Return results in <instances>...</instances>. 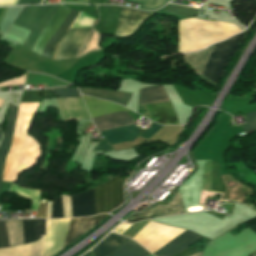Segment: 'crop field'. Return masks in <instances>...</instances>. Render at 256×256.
<instances>
[{
	"label": "crop field",
	"instance_id": "8a807250",
	"mask_svg": "<svg viewBox=\"0 0 256 256\" xmlns=\"http://www.w3.org/2000/svg\"><path fill=\"white\" fill-rule=\"evenodd\" d=\"M37 105L38 103H21L19 106L14 138L2 181L14 183L22 171L34 166L41 157L38 144L26 134L28 122Z\"/></svg>",
	"mask_w": 256,
	"mask_h": 256
},
{
	"label": "crop field",
	"instance_id": "ac0d7876",
	"mask_svg": "<svg viewBox=\"0 0 256 256\" xmlns=\"http://www.w3.org/2000/svg\"><path fill=\"white\" fill-rule=\"evenodd\" d=\"M92 118L120 111H128L127 109L106 101L93 99L82 96ZM99 131L132 125L134 124L130 116L125 112L115 113L93 119ZM139 133V127L134 125L102 131L103 137L112 145L119 142L134 140Z\"/></svg>",
	"mask_w": 256,
	"mask_h": 256
},
{
	"label": "crop field",
	"instance_id": "34b2d1b8",
	"mask_svg": "<svg viewBox=\"0 0 256 256\" xmlns=\"http://www.w3.org/2000/svg\"><path fill=\"white\" fill-rule=\"evenodd\" d=\"M70 11L71 9H68L63 6L60 7V9L56 12V14L52 17V19L48 22V24L45 26V28L41 32L32 51L40 55L42 54L44 46L52 37V35L55 33V31L58 29V27L61 25V23L64 21V19L67 17V15L70 13ZM78 14L79 12L72 10V12L63 22V24L60 26V28L57 30V32L54 34V36L50 39V41L45 46L44 52L42 54L43 56L49 59L51 58V52L53 47L64 36V34L72 25V23L76 20ZM93 19L94 18L81 12L77 20L71 26V28L90 27Z\"/></svg>",
	"mask_w": 256,
	"mask_h": 256
},
{
	"label": "crop field",
	"instance_id": "412701ff",
	"mask_svg": "<svg viewBox=\"0 0 256 256\" xmlns=\"http://www.w3.org/2000/svg\"><path fill=\"white\" fill-rule=\"evenodd\" d=\"M61 5L27 6L14 21V25L31 31L23 46L32 49L38 35Z\"/></svg>",
	"mask_w": 256,
	"mask_h": 256
},
{
	"label": "crop field",
	"instance_id": "f4fd0767",
	"mask_svg": "<svg viewBox=\"0 0 256 256\" xmlns=\"http://www.w3.org/2000/svg\"><path fill=\"white\" fill-rule=\"evenodd\" d=\"M246 33L247 32H244L240 35L229 38L222 43L216 44L200 75L216 84L221 77L232 52Z\"/></svg>",
	"mask_w": 256,
	"mask_h": 256
},
{
	"label": "crop field",
	"instance_id": "dd49c442",
	"mask_svg": "<svg viewBox=\"0 0 256 256\" xmlns=\"http://www.w3.org/2000/svg\"><path fill=\"white\" fill-rule=\"evenodd\" d=\"M183 231L184 229L150 221L133 239L141 243L153 254Z\"/></svg>",
	"mask_w": 256,
	"mask_h": 256
},
{
	"label": "crop field",
	"instance_id": "e52e79f7",
	"mask_svg": "<svg viewBox=\"0 0 256 256\" xmlns=\"http://www.w3.org/2000/svg\"><path fill=\"white\" fill-rule=\"evenodd\" d=\"M158 102H170L163 86L149 87L141 90L140 104ZM149 106L155 121L161 124H177L170 103L151 104Z\"/></svg>",
	"mask_w": 256,
	"mask_h": 256
},
{
	"label": "crop field",
	"instance_id": "d8731c3e",
	"mask_svg": "<svg viewBox=\"0 0 256 256\" xmlns=\"http://www.w3.org/2000/svg\"><path fill=\"white\" fill-rule=\"evenodd\" d=\"M125 178L116 176L108 183L94 188L96 214L109 213L124 202L123 184Z\"/></svg>",
	"mask_w": 256,
	"mask_h": 256
},
{
	"label": "crop field",
	"instance_id": "5a996713",
	"mask_svg": "<svg viewBox=\"0 0 256 256\" xmlns=\"http://www.w3.org/2000/svg\"><path fill=\"white\" fill-rule=\"evenodd\" d=\"M69 220H46L45 256H53L63 249Z\"/></svg>",
	"mask_w": 256,
	"mask_h": 256
},
{
	"label": "crop field",
	"instance_id": "3316defc",
	"mask_svg": "<svg viewBox=\"0 0 256 256\" xmlns=\"http://www.w3.org/2000/svg\"><path fill=\"white\" fill-rule=\"evenodd\" d=\"M90 29L69 30L63 40L57 45L53 60L75 58Z\"/></svg>",
	"mask_w": 256,
	"mask_h": 256
},
{
	"label": "crop field",
	"instance_id": "28ad6ade",
	"mask_svg": "<svg viewBox=\"0 0 256 256\" xmlns=\"http://www.w3.org/2000/svg\"><path fill=\"white\" fill-rule=\"evenodd\" d=\"M201 238H202V236H199L193 232L186 230L153 255H155V256H174V255L182 252L183 250L187 249L194 242L200 240Z\"/></svg>",
	"mask_w": 256,
	"mask_h": 256
},
{
	"label": "crop field",
	"instance_id": "d1516ede",
	"mask_svg": "<svg viewBox=\"0 0 256 256\" xmlns=\"http://www.w3.org/2000/svg\"><path fill=\"white\" fill-rule=\"evenodd\" d=\"M149 13L121 7L115 35H129Z\"/></svg>",
	"mask_w": 256,
	"mask_h": 256
},
{
	"label": "crop field",
	"instance_id": "22f410ed",
	"mask_svg": "<svg viewBox=\"0 0 256 256\" xmlns=\"http://www.w3.org/2000/svg\"><path fill=\"white\" fill-rule=\"evenodd\" d=\"M70 200L72 217L95 215L94 190L71 195Z\"/></svg>",
	"mask_w": 256,
	"mask_h": 256
},
{
	"label": "crop field",
	"instance_id": "cbeb9de0",
	"mask_svg": "<svg viewBox=\"0 0 256 256\" xmlns=\"http://www.w3.org/2000/svg\"><path fill=\"white\" fill-rule=\"evenodd\" d=\"M107 216L108 215H99L91 218L71 219L64 247L88 232Z\"/></svg>",
	"mask_w": 256,
	"mask_h": 256
},
{
	"label": "crop field",
	"instance_id": "5142ce71",
	"mask_svg": "<svg viewBox=\"0 0 256 256\" xmlns=\"http://www.w3.org/2000/svg\"><path fill=\"white\" fill-rule=\"evenodd\" d=\"M17 110H18V107L14 106L12 104L10 105V110H9V115H8V124L5 129V133L2 138L1 145H0V184H1V179H2L4 160L9 151L12 137H13Z\"/></svg>",
	"mask_w": 256,
	"mask_h": 256
},
{
	"label": "crop field",
	"instance_id": "d9b57169",
	"mask_svg": "<svg viewBox=\"0 0 256 256\" xmlns=\"http://www.w3.org/2000/svg\"><path fill=\"white\" fill-rule=\"evenodd\" d=\"M79 89L82 94H87L97 98L113 101L123 106H126L131 96L130 93H125V92H120V91H115L110 89L87 88V87H81Z\"/></svg>",
	"mask_w": 256,
	"mask_h": 256
},
{
	"label": "crop field",
	"instance_id": "733c2abd",
	"mask_svg": "<svg viewBox=\"0 0 256 256\" xmlns=\"http://www.w3.org/2000/svg\"><path fill=\"white\" fill-rule=\"evenodd\" d=\"M45 236L32 244L0 249V256H44Z\"/></svg>",
	"mask_w": 256,
	"mask_h": 256
},
{
	"label": "crop field",
	"instance_id": "4a817a6b",
	"mask_svg": "<svg viewBox=\"0 0 256 256\" xmlns=\"http://www.w3.org/2000/svg\"><path fill=\"white\" fill-rule=\"evenodd\" d=\"M24 244L34 242L45 235V220H22Z\"/></svg>",
	"mask_w": 256,
	"mask_h": 256
},
{
	"label": "crop field",
	"instance_id": "bc2a9ffb",
	"mask_svg": "<svg viewBox=\"0 0 256 256\" xmlns=\"http://www.w3.org/2000/svg\"><path fill=\"white\" fill-rule=\"evenodd\" d=\"M128 240L129 239L125 237L110 233L108 237H106L101 243L91 250L95 256H106L108 253L117 249Z\"/></svg>",
	"mask_w": 256,
	"mask_h": 256
},
{
	"label": "crop field",
	"instance_id": "214f88e0",
	"mask_svg": "<svg viewBox=\"0 0 256 256\" xmlns=\"http://www.w3.org/2000/svg\"><path fill=\"white\" fill-rule=\"evenodd\" d=\"M151 255L136 242L130 240L124 246L110 253L108 256H148Z\"/></svg>",
	"mask_w": 256,
	"mask_h": 256
},
{
	"label": "crop field",
	"instance_id": "92a150f3",
	"mask_svg": "<svg viewBox=\"0 0 256 256\" xmlns=\"http://www.w3.org/2000/svg\"><path fill=\"white\" fill-rule=\"evenodd\" d=\"M39 192L40 191L21 189L14 184L9 193H16L17 196L32 201L31 210H37L39 205Z\"/></svg>",
	"mask_w": 256,
	"mask_h": 256
},
{
	"label": "crop field",
	"instance_id": "dafd665d",
	"mask_svg": "<svg viewBox=\"0 0 256 256\" xmlns=\"http://www.w3.org/2000/svg\"><path fill=\"white\" fill-rule=\"evenodd\" d=\"M130 2L141 4L140 8L145 10L158 9L168 0H127Z\"/></svg>",
	"mask_w": 256,
	"mask_h": 256
},
{
	"label": "crop field",
	"instance_id": "00972430",
	"mask_svg": "<svg viewBox=\"0 0 256 256\" xmlns=\"http://www.w3.org/2000/svg\"><path fill=\"white\" fill-rule=\"evenodd\" d=\"M198 9L182 8L174 5H170L166 8L165 12L183 16L185 18L191 17L196 14Z\"/></svg>",
	"mask_w": 256,
	"mask_h": 256
},
{
	"label": "crop field",
	"instance_id": "a9b5d70f",
	"mask_svg": "<svg viewBox=\"0 0 256 256\" xmlns=\"http://www.w3.org/2000/svg\"><path fill=\"white\" fill-rule=\"evenodd\" d=\"M51 90H53L61 98H64V97L81 98L77 89H75V88H54V89H51Z\"/></svg>",
	"mask_w": 256,
	"mask_h": 256
},
{
	"label": "crop field",
	"instance_id": "4177f3b9",
	"mask_svg": "<svg viewBox=\"0 0 256 256\" xmlns=\"http://www.w3.org/2000/svg\"><path fill=\"white\" fill-rule=\"evenodd\" d=\"M51 218H64L61 196L53 199V209Z\"/></svg>",
	"mask_w": 256,
	"mask_h": 256
},
{
	"label": "crop field",
	"instance_id": "730fd06b",
	"mask_svg": "<svg viewBox=\"0 0 256 256\" xmlns=\"http://www.w3.org/2000/svg\"><path fill=\"white\" fill-rule=\"evenodd\" d=\"M245 115L248 121L244 125V131L247 132L256 129V111L246 113Z\"/></svg>",
	"mask_w": 256,
	"mask_h": 256
},
{
	"label": "crop field",
	"instance_id": "eef30255",
	"mask_svg": "<svg viewBox=\"0 0 256 256\" xmlns=\"http://www.w3.org/2000/svg\"><path fill=\"white\" fill-rule=\"evenodd\" d=\"M0 246L9 247L5 221H0Z\"/></svg>",
	"mask_w": 256,
	"mask_h": 256
},
{
	"label": "crop field",
	"instance_id": "ae1a2a85",
	"mask_svg": "<svg viewBox=\"0 0 256 256\" xmlns=\"http://www.w3.org/2000/svg\"><path fill=\"white\" fill-rule=\"evenodd\" d=\"M153 209H154V207L147 210L146 212H144L141 215H133L127 221L128 222H138V221H142V220H145V219H150L152 217Z\"/></svg>",
	"mask_w": 256,
	"mask_h": 256
},
{
	"label": "crop field",
	"instance_id": "d3111659",
	"mask_svg": "<svg viewBox=\"0 0 256 256\" xmlns=\"http://www.w3.org/2000/svg\"><path fill=\"white\" fill-rule=\"evenodd\" d=\"M25 75L21 76V77H18V78H15V79H11V80H8V81H5L3 83H0V86H7V85H19V84H24L25 82Z\"/></svg>",
	"mask_w": 256,
	"mask_h": 256
},
{
	"label": "crop field",
	"instance_id": "750c4746",
	"mask_svg": "<svg viewBox=\"0 0 256 256\" xmlns=\"http://www.w3.org/2000/svg\"><path fill=\"white\" fill-rule=\"evenodd\" d=\"M162 126L154 124L152 125L148 130H146L144 132V134H142L141 136L145 137V138H149L151 137L154 133H156Z\"/></svg>",
	"mask_w": 256,
	"mask_h": 256
},
{
	"label": "crop field",
	"instance_id": "bd1437ed",
	"mask_svg": "<svg viewBox=\"0 0 256 256\" xmlns=\"http://www.w3.org/2000/svg\"><path fill=\"white\" fill-rule=\"evenodd\" d=\"M63 204H64L65 218L71 217L69 196H63Z\"/></svg>",
	"mask_w": 256,
	"mask_h": 256
},
{
	"label": "crop field",
	"instance_id": "1d83c4d3",
	"mask_svg": "<svg viewBox=\"0 0 256 256\" xmlns=\"http://www.w3.org/2000/svg\"><path fill=\"white\" fill-rule=\"evenodd\" d=\"M46 206H47V199L42 200V202L40 203V208L38 210V214L36 218H45Z\"/></svg>",
	"mask_w": 256,
	"mask_h": 256
},
{
	"label": "crop field",
	"instance_id": "120bbe31",
	"mask_svg": "<svg viewBox=\"0 0 256 256\" xmlns=\"http://www.w3.org/2000/svg\"><path fill=\"white\" fill-rule=\"evenodd\" d=\"M132 224L123 223L118 226L113 232L121 235L124 231H126Z\"/></svg>",
	"mask_w": 256,
	"mask_h": 256
},
{
	"label": "crop field",
	"instance_id": "d32e631a",
	"mask_svg": "<svg viewBox=\"0 0 256 256\" xmlns=\"http://www.w3.org/2000/svg\"><path fill=\"white\" fill-rule=\"evenodd\" d=\"M113 149L108 142L99 143V145L95 148L94 151H100V150H110Z\"/></svg>",
	"mask_w": 256,
	"mask_h": 256
},
{
	"label": "crop field",
	"instance_id": "5866460e",
	"mask_svg": "<svg viewBox=\"0 0 256 256\" xmlns=\"http://www.w3.org/2000/svg\"><path fill=\"white\" fill-rule=\"evenodd\" d=\"M40 0H19L17 5L37 4Z\"/></svg>",
	"mask_w": 256,
	"mask_h": 256
},
{
	"label": "crop field",
	"instance_id": "028f5c9d",
	"mask_svg": "<svg viewBox=\"0 0 256 256\" xmlns=\"http://www.w3.org/2000/svg\"><path fill=\"white\" fill-rule=\"evenodd\" d=\"M50 210H51V202L48 201L47 217L46 218H50Z\"/></svg>",
	"mask_w": 256,
	"mask_h": 256
},
{
	"label": "crop field",
	"instance_id": "e1f06a70",
	"mask_svg": "<svg viewBox=\"0 0 256 256\" xmlns=\"http://www.w3.org/2000/svg\"><path fill=\"white\" fill-rule=\"evenodd\" d=\"M92 254V252L91 251H89L88 253H86L84 256H88V255H91Z\"/></svg>",
	"mask_w": 256,
	"mask_h": 256
},
{
	"label": "crop field",
	"instance_id": "0bd39190",
	"mask_svg": "<svg viewBox=\"0 0 256 256\" xmlns=\"http://www.w3.org/2000/svg\"><path fill=\"white\" fill-rule=\"evenodd\" d=\"M3 101H4V100L0 99V107H1V104H2Z\"/></svg>",
	"mask_w": 256,
	"mask_h": 256
},
{
	"label": "crop field",
	"instance_id": "b80d0937",
	"mask_svg": "<svg viewBox=\"0 0 256 256\" xmlns=\"http://www.w3.org/2000/svg\"><path fill=\"white\" fill-rule=\"evenodd\" d=\"M0 137H1V130H0Z\"/></svg>",
	"mask_w": 256,
	"mask_h": 256
},
{
	"label": "crop field",
	"instance_id": "c035e120",
	"mask_svg": "<svg viewBox=\"0 0 256 256\" xmlns=\"http://www.w3.org/2000/svg\"><path fill=\"white\" fill-rule=\"evenodd\" d=\"M151 256H153V255H151Z\"/></svg>",
	"mask_w": 256,
	"mask_h": 256
},
{
	"label": "crop field",
	"instance_id": "c21b1889",
	"mask_svg": "<svg viewBox=\"0 0 256 256\" xmlns=\"http://www.w3.org/2000/svg\"><path fill=\"white\" fill-rule=\"evenodd\" d=\"M93 256V255H92Z\"/></svg>",
	"mask_w": 256,
	"mask_h": 256
}]
</instances>
